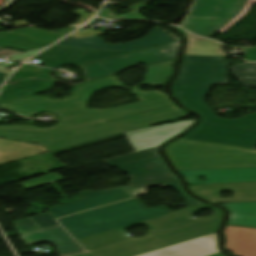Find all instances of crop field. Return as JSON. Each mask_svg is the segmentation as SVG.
Instances as JSON below:
<instances>
[{
	"label": "crop field",
	"instance_id": "obj_18",
	"mask_svg": "<svg viewBox=\"0 0 256 256\" xmlns=\"http://www.w3.org/2000/svg\"><path fill=\"white\" fill-rule=\"evenodd\" d=\"M225 249L234 256H256V228L227 225Z\"/></svg>",
	"mask_w": 256,
	"mask_h": 256
},
{
	"label": "crop field",
	"instance_id": "obj_29",
	"mask_svg": "<svg viewBox=\"0 0 256 256\" xmlns=\"http://www.w3.org/2000/svg\"><path fill=\"white\" fill-rule=\"evenodd\" d=\"M38 51H40V50L32 51V52H27V53H24L22 55L13 56L12 61H25L27 58L33 56Z\"/></svg>",
	"mask_w": 256,
	"mask_h": 256
},
{
	"label": "crop field",
	"instance_id": "obj_34",
	"mask_svg": "<svg viewBox=\"0 0 256 256\" xmlns=\"http://www.w3.org/2000/svg\"><path fill=\"white\" fill-rule=\"evenodd\" d=\"M0 67H7L6 65H0Z\"/></svg>",
	"mask_w": 256,
	"mask_h": 256
},
{
	"label": "crop field",
	"instance_id": "obj_7",
	"mask_svg": "<svg viewBox=\"0 0 256 256\" xmlns=\"http://www.w3.org/2000/svg\"><path fill=\"white\" fill-rule=\"evenodd\" d=\"M183 138L249 148L256 146V131L203 122Z\"/></svg>",
	"mask_w": 256,
	"mask_h": 256
},
{
	"label": "crop field",
	"instance_id": "obj_31",
	"mask_svg": "<svg viewBox=\"0 0 256 256\" xmlns=\"http://www.w3.org/2000/svg\"><path fill=\"white\" fill-rule=\"evenodd\" d=\"M249 167H255L256 166V162H247Z\"/></svg>",
	"mask_w": 256,
	"mask_h": 256
},
{
	"label": "crop field",
	"instance_id": "obj_27",
	"mask_svg": "<svg viewBox=\"0 0 256 256\" xmlns=\"http://www.w3.org/2000/svg\"><path fill=\"white\" fill-rule=\"evenodd\" d=\"M60 181H64V179L62 177H60L58 174H56V175L49 176V177H46V178H43V179H39V180H36V181H33V182L22 184V186L26 190H28V189H32V188H36V187H40V186L60 182Z\"/></svg>",
	"mask_w": 256,
	"mask_h": 256
},
{
	"label": "crop field",
	"instance_id": "obj_9",
	"mask_svg": "<svg viewBox=\"0 0 256 256\" xmlns=\"http://www.w3.org/2000/svg\"><path fill=\"white\" fill-rule=\"evenodd\" d=\"M194 122L195 119L127 132L125 135L131 143L134 151L137 152L152 147H159L163 142L180 134Z\"/></svg>",
	"mask_w": 256,
	"mask_h": 256
},
{
	"label": "crop field",
	"instance_id": "obj_28",
	"mask_svg": "<svg viewBox=\"0 0 256 256\" xmlns=\"http://www.w3.org/2000/svg\"><path fill=\"white\" fill-rule=\"evenodd\" d=\"M253 2H256V0H248L246 2V4L244 5L241 13L238 16H236L233 20H231L229 23H227L219 32L223 33L225 30H227L229 27H231L233 24H235L237 21H239L242 17H244Z\"/></svg>",
	"mask_w": 256,
	"mask_h": 256
},
{
	"label": "crop field",
	"instance_id": "obj_4",
	"mask_svg": "<svg viewBox=\"0 0 256 256\" xmlns=\"http://www.w3.org/2000/svg\"><path fill=\"white\" fill-rule=\"evenodd\" d=\"M178 140V139H177ZM176 170L248 167L256 150L180 139L165 147Z\"/></svg>",
	"mask_w": 256,
	"mask_h": 256
},
{
	"label": "crop field",
	"instance_id": "obj_25",
	"mask_svg": "<svg viewBox=\"0 0 256 256\" xmlns=\"http://www.w3.org/2000/svg\"><path fill=\"white\" fill-rule=\"evenodd\" d=\"M53 71L51 69H45V68H38V67H33L29 65L28 67L22 66L19 70H17L8 80V82H12L18 79L26 78V77H31L35 75H39L42 73L50 72ZM7 82V83H8Z\"/></svg>",
	"mask_w": 256,
	"mask_h": 256
},
{
	"label": "crop field",
	"instance_id": "obj_5",
	"mask_svg": "<svg viewBox=\"0 0 256 256\" xmlns=\"http://www.w3.org/2000/svg\"><path fill=\"white\" fill-rule=\"evenodd\" d=\"M118 168L125 173H128L132 180L126 187H119L104 191H83L79 194L84 198L114 191L117 189H135L141 187L154 186L158 184H165L169 187L181 186L178 179L165 166L160 155L151 157L145 160L118 166Z\"/></svg>",
	"mask_w": 256,
	"mask_h": 256
},
{
	"label": "crop field",
	"instance_id": "obj_16",
	"mask_svg": "<svg viewBox=\"0 0 256 256\" xmlns=\"http://www.w3.org/2000/svg\"><path fill=\"white\" fill-rule=\"evenodd\" d=\"M140 102L117 107L114 109L108 110H94L91 111L101 118L104 122L113 120L116 118L137 114L145 111H150L170 105H174L175 103L167 96L166 93H161L153 96L142 97L140 98Z\"/></svg>",
	"mask_w": 256,
	"mask_h": 256
},
{
	"label": "crop field",
	"instance_id": "obj_17",
	"mask_svg": "<svg viewBox=\"0 0 256 256\" xmlns=\"http://www.w3.org/2000/svg\"><path fill=\"white\" fill-rule=\"evenodd\" d=\"M227 82L226 66L182 64L175 83L215 85Z\"/></svg>",
	"mask_w": 256,
	"mask_h": 256
},
{
	"label": "crop field",
	"instance_id": "obj_32",
	"mask_svg": "<svg viewBox=\"0 0 256 256\" xmlns=\"http://www.w3.org/2000/svg\"><path fill=\"white\" fill-rule=\"evenodd\" d=\"M78 256H89V255L87 253H85V254L78 255Z\"/></svg>",
	"mask_w": 256,
	"mask_h": 256
},
{
	"label": "crop field",
	"instance_id": "obj_1",
	"mask_svg": "<svg viewBox=\"0 0 256 256\" xmlns=\"http://www.w3.org/2000/svg\"><path fill=\"white\" fill-rule=\"evenodd\" d=\"M123 86L116 76H111L74 87L72 97L64 101L29 96L1 103L0 108L9 109L27 117L37 111L55 112L60 116V121L54 128L0 126V137L37 143L54 151L122 132L152 127L158 123L180 120L182 116L191 115L174 106L104 123L86 108L97 90ZM131 91L138 97L161 93L159 90Z\"/></svg>",
	"mask_w": 256,
	"mask_h": 256
},
{
	"label": "crop field",
	"instance_id": "obj_8",
	"mask_svg": "<svg viewBox=\"0 0 256 256\" xmlns=\"http://www.w3.org/2000/svg\"><path fill=\"white\" fill-rule=\"evenodd\" d=\"M173 41L174 40L170 37L155 28L144 39L126 44H104L102 40L98 39V36L85 39H78L69 36L57 43V45L87 49L134 51Z\"/></svg>",
	"mask_w": 256,
	"mask_h": 256
},
{
	"label": "crop field",
	"instance_id": "obj_23",
	"mask_svg": "<svg viewBox=\"0 0 256 256\" xmlns=\"http://www.w3.org/2000/svg\"><path fill=\"white\" fill-rule=\"evenodd\" d=\"M234 77L238 78L245 87L256 88V64L244 62L230 67ZM245 76L244 78H240Z\"/></svg>",
	"mask_w": 256,
	"mask_h": 256
},
{
	"label": "crop field",
	"instance_id": "obj_19",
	"mask_svg": "<svg viewBox=\"0 0 256 256\" xmlns=\"http://www.w3.org/2000/svg\"><path fill=\"white\" fill-rule=\"evenodd\" d=\"M48 151L45 147L0 139V165Z\"/></svg>",
	"mask_w": 256,
	"mask_h": 256
},
{
	"label": "crop field",
	"instance_id": "obj_12",
	"mask_svg": "<svg viewBox=\"0 0 256 256\" xmlns=\"http://www.w3.org/2000/svg\"><path fill=\"white\" fill-rule=\"evenodd\" d=\"M190 185L256 181L255 168L206 169L179 171ZM207 177L200 182L198 177Z\"/></svg>",
	"mask_w": 256,
	"mask_h": 256
},
{
	"label": "crop field",
	"instance_id": "obj_3",
	"mask_svg": "<svg viewBox=\"0 0 256 256\" xmlns=\"http://www.w3.org/2000/svg\"><path fill=\"white\" fill-rule=\"evenodd\" d=\"M174 189L183 196L184 202L188 207L203 204L188 196L183 191L182 187ZM167 213H170V211L166 206L148 209L137 198H134L59 219L58 221L76 240H78Z\"/></svg>",
	"mask_w": 256,
	"mask_h": 256
},
{
	"label": "crop field",
	"instance_id": "obj_15",
	"mask_svg": "<svg viewBox=\"0 0 256 256\" xmlns=\"http://www.w3.org/2000/svg\"><path fill=\"white\" fill-rule=\"evenodd\" d=\"M26 246L47 241L57 247L59 256H70L84 250L62 229L60 225L20 236Z\"/></svg>",
	"mask_w": 256,
	"mask_h": 256
},
{
	"label": "crop field",
	"instance_id": "obj_6",
	"mask_svg": "<svg viewBox=\"0 0 256 256\" xmlns=\"http://www.w3.org/2000/svg\"><path fill=\"white\" fill-rule=\"evenodd\" d=\"M210 86L173 84L176 98L188 109L198 113L203 122L256 130V113L235 120H223L213 115L204 104V97Z\"/></svg>",
	"mask_w": 256,
	"mask_h": 256
},
{
	"label": "crop field",
	"instance_id": "obj_13",
	"mask_svg": "<svg viewBox=\"0 0 256 256\" xmlns=\"http://www.w3.org/2000/svg\"><path fill=\"white\" fill-rule=\"evenodd\" d=\"M143 190L144 188L136 189V190H117L114 192L94 196L91 198L79 200L66 205L48 209L47 211L52 215L54 219H56V218L71 215L74 213H78L81 211H85L88 209H92L95 207H99L102 205H106L109 203H113L116 201H120L123 199H127L130 197H134L137 195V193Z\"/></svg>",
	"mask_w": 256,
	"mask_h": 256
},
{
	"label": "crop field",
	"instance_id": "obj_2",
	"mask_svg": "<svg viewBox=\"0 0 256 256\" xmlns=\"http://www.w3.org/2000/svg\"><path fill=\"white\" fill-rule=\"evenodd\" d=\"M205 209L215 211L209 217L191 218L197 211ZM221 218L222 211L203 204L136 223H145L151 228L147 235L142 238L132 239L127 237L123 230L132 226L129 225L78 240V242L88 251L90 256H136L215 233L220 225Z\"/></svg>",
	"mask_w": 256,
	"mask_h": 256
},
{
	"label": "crop field",
	"instance_id": "obj_22",
	"mask_svg": "<svg viewBox=\"0 0 256 256\" xmlns=\"http://www.w3.org/2000/svg\"><path fill=\"white\" fill-rule=\"evenodd\" d=\"M173 64L174 61H169L149 66L144 85H165Z\"/></svg>",
	"mask_w": 256,
	"mask_h": 256
},
{
	"label": "crop field",
	"instance_id": "obj_33",
	"mask_svg": "<svg viewBox=\"0 0 256 256\" xmlns=\"http://www.w3.org/2000/svg\"><path fill=\"white\" fill-rule=\"evenodd\" d=\"M214 256H225V255H223L222 253H220V254H217V255H214Z\"/></svg>",
	"mask_w": 256,
	"mask_h": 256
},
{
	"label": "crop field",
	"instance_id": "obj_24",
	"mask_svg": "<svg viewBox=\"0 0 256 256\" xmlns=\"http://www.w3.org/2000/svg\"><path fill=\"white\" fill-rule=\"evenodd\" d=\"M155 155H158L157 148H152V149H148L145 151L117 157V158L105 161L104 163H106L110 167H114V166H117L120 164L148 158V157L155 156Z\"/></svg>",
	"mask_w": 256,
	"mask_h": 256
},
{
	"label": "crop field",
	"instance_id": "obj_26",
	"mask_svg": "<svg viewBox=\"0 0 256 256\" xmlns=\"http://www.w3.org/2000/svg\"><path fill=\"white\" fill-rule=\"evenodd\" d=\"M182 63L225 65V57L184 56Z\"/></svg>",
	"mask_w": 256,
	"mask_h": 256
},
{
	"label": "crop field",
	"instance_id": "obj_30",
	"mask_svg": "<svg viewBox=\"0 0 256 256\" xmlns=\"http://www.w3.org/2000/svg\"><path fill=\"white\" fill-rule=\"evenodd\" d=\"M11 71L0 69V83H2L5 75H8Z\"/></svg>",
	"mask_w": 256,
	"mask_h": 256
},
{
	"label": "crop field",
	"instance_id": "obj_11",
	"mask_svg": "<svg viewBox=\"0 0 256 256\" xmlns=\"http://www.w3.org/2000/svg\"><path fill=\"white\" fill-rule=\"evenodd\" d=\"M191 192L212 203L256 201V182L189 186ZM231 190L235 196L222 199L219 193Z\"/></svg>",
	"mask_w": 256,
	"mask_h": 256
},
{
	"label": "crop field",
	"instance_id": "obj_10",
	"mask_svg": "<svg viewBox=\"0 0 256 256\" xmlns=\"http://www.w3.org/2000/svg\"><path fill=\"white\" fill-rule=\"evenodd\" d=\"M124 53L78 50L53 46L36 58L49 62L46 66L59 69L66 64L80 65Z\"/></svg>",
	"mask_w": 256,
	"mask_h": 256
},
{
	"label": "crop field",
	"instance_id": "obj_14",
	"mask_svg": "<svg viewBox=\"0 0 256 256\" xmlns=\"http://www.w3.org/2000/svg\"><path fill=\"white\" fill-rule=\"evenodd\" d=\"M217 235L204 236L174 246L155 250L141 256H211L220 251L217 248Z\"/></svg>",
	"mask_w": 256,
	"mask_h": 256
},
{
	"label": "crop field",
	"instance_id": "obj_21",
	"mask_svg": "<svg viewBox=\"0 0 256 256\" xmlns=\"http://www.w3.org/2000/svg\"><path fill=\"white\" fill-rule=\"evenodd\" d=\"M20 235L58 225L48 212L13 222Z\"/></svg>",
	"mask_w": 256,
	"mask_h": 256
},
{
	"label": "crop field",
	"instance_id": "obj_20",
	"mask_svg": "<svg viewBox=\"0 0 256 256\" xmlns=\"http://www.w3.org/2000/svg\"><path fill=\"white\" fill-rule=\"evenodd\" d=\"M230 211L227 224L256 227V202L221 204Z\"/></svg>",
	"mask_w": 256,
	"mask_h": 256
}]
</instances>
